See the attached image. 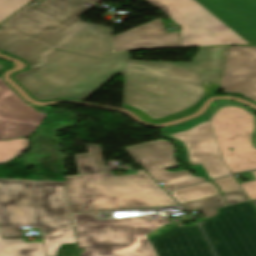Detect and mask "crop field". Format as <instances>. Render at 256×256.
Listing matches in <instances>:
<instances>
[{
    "label": "crop field",
    "instance_id": "obj_20",
    "mask_svg": "<svg viewBox=\"0 0 256 256\" xmlns=\"http://www.w3.org/2000/svg\"><path fill=\"white\" fill-rule=\"evenodd\" d=\"M48 255L57 256L56 252L60 244L76 243L73 227L59 233L51 234L45 237Z\"/></svg>",
    "mask_w": 256,
    "mask_h": 256
},
{
    "label": "crop field",
    "instance_id": "obj_8",
    "mask_svg": "<svg viewBox=\"0 0 256 256\" xmlns=\"http://www.w3.org/2000/svg\"><path fill=\"white\" fill-rule=\"evenodd\" d=\"M184 125L187 126L184 127ZM166 130L184 142L188 150V158L193 165L205 164L194 168L197 173L209 179L231 174L222 160L208 115L198 117L180 126L168 127Z\"/></svg>",
    "mask_w": 256,
    "mask_h": 256
},
{
    "label": "crop field",
    "instance_id": "obj_26",
    "mask_svg": "<svg viewBox=\"0 0 256 256\" xmlns=\"http://www.w3.org/2000/svg\"><path fill=\"white\" fill-rule=\"evenodd\" d=\"M172 227H174V225L171 224V223H169V224L164 225V226L160 227L159 229H157V230H155V231H153V232L147 234V237H148V238H151V237H153V236L159 234L160 232H162V231H164V230H167V229H169V228H172Z\"/></svg>",
    "mask_w": 256,
    "mask_h": 256
},
{
    "label": "crop field",
    "instance_id": "obj_19",
    "mask_svg": "<svg viewBox=\"0 0 256 256\" xmlns=\"http://www.w3.org/2000/svg\"><path fill=\"white\" fill-rule=\"evenodd\" d=\"M188 211L199 209L207 218L218 214L220 207L227 206L222 195H217L208 199L188 203L183 205Z\"/></svg>",
    "mask_w": 256,
    "mask_h": 256
},
{
    "label": "crop field",
    "instance_id": "obj_4",
    "mask_svg": "<svg viewBox=\"0 0 256 256\" xmlns=\"http://www.w3.org/2000/svg\"><path fill=\"white\" fill-rule=\"evenodd\" d=\"M207 112L223 160L232 174L256 169V114L227 100L214 102Z\"/></svg>",
    "mask_w": 256,
    "mask_h": 256
},
{
    "label": "crop field",
    "instance_id": "obj_14",
    "mask_svg": "<svg viewBox=\"0 0 256 256\" xmlns=\"http://www.w3.org/2000/svg\"><path fill=\"white\" fill-rule=\"evenodd\" d=\"M151 242L158 256H214L198 224L175 228Z\"/></svg>",
    "mask_w": 256,
    "mask_h": 256
},
{
    "label": "crop field",
    "instance_id": "obj_23",
    "mask_svg": "<svg viewBox=\"0 0 256 256\" xmlns=\"http://www.w3.org/2000/svg\"><path fill=\"white\" fill-rule=\"evenodd\" d=\"M254 176H252V180L243 182L241 180H238L236 176L234 177L237 179L239 184L242 186L244 192L247 194V196L250 198V200H256V171L253 172Z\"/></svg>",
    "mask_w": 256,
    "mask_h": 256
},
{
    "label": "crop field",
    "instance_id": "obj_25",
    "mask_svg": "<svg viewBox=\"0 0 256 256\" xmlns=\"http://www.w3.org/2000/svg\"><path fill=\"white\" fill-rule=\"evenodd\" d=\"M229 206L238 204L244 201H248L249 198L246 196V194L243 192V190H237L229 193L224 194Z\"/></svg>",
    "mask_w": 256,
    "mask_h": 256
},
{
    "label": "crop field",
    "instance_id": "obj_22",
    "mask_svg": "<svg viewBox=\"0 0 256 256\" xmlns=\"http://www.w3.org/2000/svg\"><path fill=\"white\" fill-rule=\"evenodd\" d=\"M30 0H0V22Z\"/></svg>",
    "mask_w": 256,
    "mask_h": 256
},
{
    "label": "crop field",
    "instance_id": "obj_29",
    "mask_svg": "<svg viewBox=\"0 0 256 256\" xmlns=\"http://www.w3.org/2000/svg\"><path fill=\"white\" fill-rule=\"evenodd\" d=\"M24 139H25V142H26V146L22 149V151H21L18 155H20V154L26 149V147L28 146V143H27V139H28V138H24ZM18 155H17V156H18ZM17 156H15V157H17ZM15 157H13V158H11L10 160H8V161H6V162H3V163H1V164H5V163L11 161L12 159H14ZM1 164H0V165H1Z\"/></svg>",
    "mask_w": 256,
    "mask_h": 256
},
{
    "label": "crop field",
    "instance_id": "obj_31",
    "mask_svg": "<svg viewBox=\"0 0 256 256\" xmlns=\"http://www.w3.org/2000/svg\"><path fill=\"white\" fill-rule=\"evenodd\" d=\"M253 203L255 204V206H256V201H253Z\"/></svg>",
    "mask_w": 256,
    "mask_h": 256
},
{
    "label": "crop field",
    "instance_id": "obj_11",
    "mask_svg": "<svg viewBox=\"0 0 256 256\" xmlns=\"http://www.w3.org/2000/svg\"><path fill=\"white\" fill-rule=\"evenodd\" d=\"M36 121L34 108L26 104L0 78V140L25 136Z\"/></svg>",
    "mask_w": 256,
    "mask_h": 256
},
{
    "label": "crop field",
    "instance_id": "obj_24",
    "mask_svg": "<svg viewBox=\"0 0 256 256\" xmlns=\"http://www.w3.org/2000/svg\"><path fill=\"white\" fill-rule=\"evenodd\" d=\"M214 182L220 187L223 193L241 188L233 176L216 180Z\"/></svg>",
    "mask_w": 256,
    "mask_h": 256
},
{
    "label": "crop field",
    "instance_id": "obj_7",
    "mask_svg": "<svg viewBox=\"0 0 256 256\" xmlns=\"http://www.w3.org/2000/svg\"><path fill=\"white\" fill-rule=\"evenodd\" d=\"M75 221L81 248L150 243L146 234L169 223L147 217L98 220L94 214L75 215Z\"/></svg>",
    "mask_w": 256,
    "mask_h": 256
},
{
    "label": "crop field",
    "instance_id": "obj_18",
    "mask_svg": "<svg viewBox=\"0 0 256 256\" xmlns=\"http://www.w3.org/2000/svg\"><path fill=\"white\" fill-rule=\"evenodd\" d=\"M181 204L220 194L215 185L203 183L170 192Z\"/></svg>",
    "mask_w": 256,
    "mask_h": 256
},
{
    "label": "crop field",
    "instance_id": "obj_6",
    "mask_svg": "<svg viewBox=\"0 0 256 256\" xmlns=\"http://www.w3.org/2000/svg\"><path fill=\"white\" fill-rule=\"evenodd\" d=\"M217 256H256V211L245 202L200 222Z\"/></svg>",
    "mask_w": 256,
    "mask_h": 256
},
{
    "label": "crop field",
    "instance_id": "obj_30",
    "mask_svg": "<svg viewBox=\"0 0 256 256\" xmlns=\"http://www.w3.org/2000/svg\"><path fill=\"white\" fill-rule=\"evenodd\" d=\"M88 1L99 2V1H101V0H88Z\"/></svg>",
    "mask_w": 256,
    "mask_h": 256
},
{
    "label": "crop field",
    "instance_id": "obj_13",
    "mask_svg": "<svg viewBox=\"0 0 256 256\" xmlns=\"http://www.w3.org/2000/svg\"><path fill=\"white\" fill-rule=\"evenodd\" d=\"M115 51L181 47L180 32L168 33L160 18L113 37Z\"/></svg>",
    "mask_w": 256,
    "mask_h": 256
},
{
    "label": "crop field",
    "instance_id": "obj_17",
    "mask_svg": "<svg viewBox=\"0 0 256 256\" xmlns=\"http://www.w3.org/2000/svg\"><path fill=\"white\" fill-rule=\"evenodd\" d=\"M90 154L75 155L79 175L111 171L103 162L100 146L87 145Z\"/></svg>",
    "mask_w": 256,
    "mask_h": 256
},
{
    "label": "crop field",
    "instance_id": "obj_1",
    "mask_svg": "<svg viewBox=\"0 0 256 256\" xmlns=\"http://www.w3.org/2000/svg\"><path fill=\"white\" fill-rule=\"evenodd\" d=\"M0 25V50L24 61L13 80L35 100L84 101L118 73L122 108L150 123L191 115L216 93L228 46L200 48L191 63L134 61L113 53L110 27L79 16L85 0H35Z\"/></svg>",
    "mask_w": 256,
    "mask_h": 256
},
{
    "label": "crop field",
    "instance_id": "obj_3",
    "mask_svg": "<svg viewBox=\"0 0 256 256\" xmlns=\"http://www.w3.org/2000/svg\"><path fill=\"white\" fill-rule=\"evenodd\" d=\"M65 179L72 214L178 205L143 170L134 175L102 173Z\"/></svg>",
    "mask_w": 256,
    "mask_h": 256
},
{
    "label": "crop field",
    "instance_id": "obj_10",
    "mask_svg": "<svg viewBox=\"0 0 256 256\" xmlns=\"http://www.w3.org/2000/svg\"><path fill=\"white\" fill-rule=\"evenodd\" d=\"M220 88L256 102V47L229 46Z\"/></svg>",
    "mask_w": 256,
    "mask_h": 256
},
{
    "label": "crop field",
    "instance_id": "obj_16",
    "mask_svg": "<svg viewBox=\"0 0 256 256\" xmlns=\"http://www.w3.org/2000/svg\"><path fill=\"white\" fill-rule=\"evenodd\" d=\"M0 256H45L42 242L23 243L22 239L2 240Z\"/></svg>",
    "mask_w": 256,
    "mask_h": 256
},
{
    "label": "crop field",
    "instance_id": "obj_28",
    "mask_svg": "<svg viewBox=\"0 0 256 256\" xmlns=\"http://www.w3.org/2000/svg\"><path fill=\"white\" fill-rule=\"evenodd\" d=\"M41 123L38 121L35 123V125L31 128V130L27 133V135H31L37 128L38 126L40 125ZM26 135V136H27Z\"/></svg>",
    "mask_w": 256,
    "mask_h": 256
},
{
    "label": "crop field",
    "instance_id": "obj_9",
    "mask_svg": "<svg viewBox=\"0 0 256 256\" xmlns=\"http://www.w3.org/2000/svg\"><path fill=\"white\" fill-rule=\"evenodd\" d=\"M172 146L165 140H155L126 149L158 182L165 184L164 188L166 190L204 181L200 177L195 178L193 174L186 170L179 172L166 171L178 168V164L173 159L174 149Z\"/></svg>",
    "mask_w": 256,
    "mask_h": 256
},
{
    "label": "crop field",
    "instance_id": "obj_21",
    "mask_svg": "<svg viewBox=\"0 0 256 256\" xmlns=\"http://www.w3.org/2000/svg\"><path fill=\"white\" fill-rule=\"evenodd\" d=\"M24 145L23 139L0 141V163L17 155Z\"/></svg>",
    "mask_w": 256,
    "mask_h": 256
},
{
    "label": "crop field",
    "instance_id": "obj_5",
    "mask_svg": "<svg viewBox=\"0 0 256 256\" xmlns=\"http://www.w3.org/2000/svg\"><path fill=\"white\" fill-rule=\"evenodd\" d=\"M181 26L182 47L250 45L194 0H145Z\"/></svg>",
    "mask_w": 256,
    "mask_h": 256
},
{
    "label": "crop field",
    "instance_id": "obj_15",
    "mask_svg": "<svg viewBox=\"0 0 256 256\" xmlns=\"http://www.w3.org/2000/svg\"><path fill=\"white\" fill-rule=\"evenodd\" d=\"M79 256H157L152 244L84 249Z\"/></svg>",
    "mask_w": 256,
    "mask_h": 256
},
{
    "label": "crop field",
    "instance_id": "obj_12",
    "mask_svg": "<svg viewBox=\"0 0 256 256\" xmlns=\"http://www.w3.org/2000/svg\"><path fill=\"white\" fill-rule=\"evenodd\" d=\"M197 1L252 45H256V0Z\"/></svg>",
    "mask_w": 256,
    "mask_h": 256
},
{
    "label": "crop field",
    "instance_id": "obj_27",
    "mask_svg": "<svg viewBox=\"0 0 256 256\" xmlns=\"http://www.w3.org/2000/svg\"><path fill=\"white\" fill-rule=\"evenodd\" d=\"M0 64L3 66V68L0 70V77H1V73H2V71H4V70H6V69H8V68H10L12 65H9V64H7V63H5V62H2V61H0ZM8 85V84H7ZM9 86V85H8ZM10 87V86H9ZM11 88V87H10ZM13 91H14V89L13 88H11ZM26 102V101H25ZM26 103H28V102H26ZM33 106V105H32ZM34 108H38V106H33Z\"/></svg>",
    "mask_w": 256,
    "mask_h": 256
},
{
    "label": "crop field",
    "instance_id": "obj_2",
    "mask_svg": "<svg viewBox=\"0 0 256 256\" xmlns=\"http://www.w3.org/2000/svg\"><path fill=\"white\" fill-rule=\"evenodd\" d=\"M0 178V223L4 237H22L20 226L42 234L72 226L65 182Z\"/></svg>",
    "mask_w": 256,
    "mask_h": 256
}]
</instances>
